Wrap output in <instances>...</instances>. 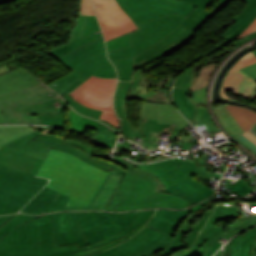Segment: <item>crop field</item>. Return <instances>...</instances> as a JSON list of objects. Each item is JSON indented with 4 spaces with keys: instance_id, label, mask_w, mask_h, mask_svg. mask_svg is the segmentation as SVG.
Wrapping results in <instances>:
<instances>
[{
    "instance_id": "1",
    "label": "crop field",
    "mask_w": 256,
    "mask_h": 256,
    "mask_svg": "<svg viewBox=\"0 0 256 256\" xmlns=\"http://www.w3.org/2000/svg\"><path fill=\"white\" fill-rule=\"evenodd\" d=\"M107 173L71 154L52 149L37 176L51 179L47 187L70 196L67 206H88Z\"/></svg>"
},
{
    "instance_id": "2",
    "label": "crop field",
    "mask_w": 256,
    "mask_h": 256,
    "mask_svg": "<svg viewBox=\"0 0 256 256\" xmlns=\"http://www.w3.org/2000/svg\"><path fill=\"white\" fill-rule=\"evenodd\" d=\"M135 212H60L52 214L55 246L78 247L106 239L129 226Z\"/></svg>"
},
{
    "instance_id": "3",
    "label": "crop field",
    "mask_w": 256,
    "mask_h": 256,
    "mask_svg": "<svg viewBox=\"0 0 256 256\" xmlns=\"http://www.w3.org/2000/svg\"><path fill=\"white\" fill-rule=\"evenodd\" d=\"M33 127L39 130L17 139L6 146L42 159H44L49 149L53 148L69 152L78 158L106 171H109V168L111 167L113 168L112 171L114 172H120L150 181L157 178L133 167L135 164L129 163L117 156L112 159L105 154L98 155L94 150L85 144L64 140L61 137L51 135L53 128L40 126Z\"/></svg>"
},
{
    "instance_id": "4",
    "label": "crop field",
    "mask_w": 256,
    "mask_h": 256,
    "mask_svg": "<svg viewBox=\"0 0 256 256\" xmlns=\"http://www.w3.org/2000/svg\"><path fill=\"white\" fill-rule=\"evenodd\" d=\"M185 17L173 14L139 24L131 32L132 46L108 52L110 61L133 57V64L170 46L174 49L189 41L195 32L180 25Z\"/></svg>"
},
{
    "instance_id": "5",
    "label": "crop field",
    "mask_w": 256,
    "mask_h": 256,
    "mask_svg": "<svg viewBox=\"0 0 256 256\" xmlns=\"http://www.w3.org/2000/svg\"><path fill=\"white\" fill-rule=\"evenodd\" d=\"M165 187L159 179L150 182L124 175L119 188L105 207L107 211H127L166 207L183 209L191 207L185 200L160 192Z\"/></svg>"
},
{
    "instance_id": "6",
    "label": "crop field",
    "mask_w": 256,
    "mask_h": 256,
    "mask_svg": "<svg viewBox=\"0 0 256 256\" xmlns=\"http://www.w3.org/2000/svg\"><path fill=\"white\" fill-rule=\"evenodd\" d=\"M0 104L7 124H38L40 119L29 114L63 112L67 107L66 102L43 84L0 95Z\"/></svg>"
},
{
    "instance_id": "7",
    "label": "crop field",
    "mask_w": 256,
    "mask_h": 256,
    "mask_svg": "<svg viewBox=\"0 0 256 256\" xmlns=\"http://www.w3.org/2000/svg\"><path fill=\"white\" fill-rule=\"evenodd\" d=\"M0 256H55L51 214L14 228L0 241Z\"/></svg>"
},
{
    "instance_id": "8",
    "label": "crop field",
    "mask_w": 256,
    "mask_h": 256,
    "mask_svg": "<svg viewBox=\"0 0 256 256\" xmlns=\"http://www.w3.org/2000/svg\"><path fill=\"white\" fill-rule=\"evenodd\" d=\"M56 60L64 65L69 71L74 68L86 75L87 77L85 76L86 78L84 80L92 74L105 78H117L115 68L106 57L102 36ZM83 81L79 79L63 93L70 92Z\"/></svg>"
},
{
    "instance_id": "9",
    "label": "crop field",
    "mask_w": 256,
    "mask_h": 256,
    "mask_svg": "<svg viewBox=\"0 0 256 256\" xmlns=\"http://www.w3.org/2000/svg\"><path fill=\"white\" fill-rule=\"evenodd\" d=\"M160 116V118H158ZM140 118H147L143 147L158 148L162 133L176 138L189 123L174 105L144 102L140 109Z\"/></svg>"
},
{
    "instance_id": "10",
    "label": "crop field",
    "mask_w": 256,
    "mask_h": 256,
    "mask_svg": "<svg viewBox=\"0 0 256 256\" xmlns=\"http://www.w3.org/2000/svg\"><path fill=\"white\" fill-rule=\"evenodd\" d=\"M116 80L98 78L92 75L68 94L88 107L103 110L100 118L119 129V121L113 111L112 104Z\"/></svg>"
},
{
    "instance_id": "11",
    "label": "crop field",
    "mask_w": 256,
    "mask_h": 256,
    "mask_svg": "<svg viewBox=\"0 0 256 256\" xmlns=\"http://www.w3.org/2000/svg\"><path fill=\"white\" fill-rule=\"evenodd\" d=\"M136 24L177 13L188 16L196 5L179 0H117Z\"/></svg>"
},
{
    "instance_id": "12",
    "label": "crop field",
    "mask_w": 256,
    "mask_h": 256,
    "mask_svg": "<svg viewBox=\"0 0 256 256\" xmlns=\"http://www.w3.org/2000/svg\"><path fill=\"white\" fill-rule=\"evenodd\" d=\"M172 238L145 226L128 241L90 256H151L167 247Z\"/></svg>"
},
{
    "instance_id": "13",
    "label": "crop field",
    "mask_w": 256,
    "mask_h": 256,
    "mask_svg": "<svg viewBox=\"0 0 256 256\" xmlns=\"http://www.w3.org/2000/svg\"><path fill=\"white\" fill-rule=\"evenodd\" d=\"M48 180L0 165V194L27 203Z\"/></svg>"
},
{
    "instance_id": "14",
    "label": "crop field",
    "mask_w": 256,
    "mask_h": 256,
    "mask_svg": "<svg viewBox=\"0 0 256 256\" xmlns=\"http://www.w3.org/2000/svg\"><path fill=\"white\" fill-rule=\"evenodd\" d=\"M93 3L105 41L137 28L115 0H93Z\"/></svg>"
},
{
    "instance_id": "15",
    "label": "crop field",
    "mask_w": 256,
    "mask_h": 256,
    "mask_svg": "<svg viewBox=\"0 0 256 256\" xmlns=\"http://www.w3.org/2000/svg\"><path fill=\"white\" fill-rule=\"evenodd\" d=\"M240 215L239 208L217 206L192 248L188 252L178 256L204 255L209 247L225 232L223 231V224L229 218H238Z\"/></svg>"
},
{
    "instance_id": "16",
    "label": "crop field",
    "mask_w": 256,
    "mask_h": 256,
    "mask_svg": "<svg viewBox=\"0 0 256 256\" xmlns=\"http://www.w3.org/2000/svg\"><path fill=\"white\" fill-rule=\"evenodd\" d=\"M155 211L156 209L149 211H137L135 219L129 227L124 229L121 233L94 245L82 247L80 249H78L76 244L64 247H55L56 256H82L107 249L136 233L146 224Z\"/></svg>"
},
{
    "instance_id": "17",
    "label": "crop field",
    "mask_w": 256,
    "mask_h": 256,
    "mask_svg": "<svg viewBox=\"0 0 256 256\" xmlns=\"http://www.w3.org/2000/svg\"><path fill=\"white\" fill-rule=\"evenodd\" d=\"M141 166L158 173L169 187L192 176L198 168L195 162L184 161L180 157Z\"/></svg>"
},
{
    "instance_id": "18",
    "label": "crop field",
    "mask_w": 256,
    "mask_h": 256,
    "mask_svg": "<svg viewBox=\"0 0 256 256\" xmlns=\"http://www.w3.org/2000/svg\"><path fill=\"white\" fill-rule=\"evenodd\" d=\"M234 90V95L243 96L247 100L253 101L256 97V82L248 77L245 73L237 70L231 74H226L222 88L220 90V95L226 97L224 91Z\"/></svg>"
},
{
    "instance_id": "19",
    "label": "crop field",
    "mask_w": 256,
    "mask_h": 256,
    "mask_svg": "<svg viewBox=\"0 0 256 256\" xmlns=\"http://www.w3.org/2000/svg\"><path fill=\"white\" fill-rule=\"evenodd\" d=\"M69 197L44 187L22 210L23 213L42 214L44 211L65 207Z\"/></svg>"
},
{
    "instance_id": "20",
    "label": "crop field",
    "mask_w": 256,
    "mask_h": 256,
    "mask_svg": "<svg viewBox=\"0 0 256 256\" xmlns=\"http://www.w3.org/2000/svg\"><path fill=\"white\" fill-rule=\"evenodd\" d=\"M191 213L193 211L190 209L180 211L158 209L147 225L165 234L174 236L177 228Z\"/></svg>"
},
{
    "instance_id": "21",
    "label": "crop field",
    "mask_w": 256,
    "mask_h": 256,
    "mask_svg": "<svg viewBox=\"0 0 256 256\" xmlns=\"http://www.w3.org/2000/svg\"><path fill=\"white\" fill-rule=\"evenodd\" d=\"M163 192L177 195L187 200L192 206L213 195L215 190L206 185L189 178ZM201 199V200H199Z\"/></svg>"
},
{
    "instance_id": "22",
    "label": "crop field",
    "mask_w": 256,
    "mask_h": 256,
    "mask_svg": "<svg viewBox=\"0 0 256 256\" xmlns=\"http://www.w3.org/2000/svg\"><path fill=\"white\" fill-rule=\"evenodd\" d=\"M206 88L197 90V91H193L191 93L192 100H194L197 103V105H198V103H206ZM173 99H174L176 106L179 108V110L190 121V119L193 117V115L195 113L196 106L190 102V100L188 98V90L181 89V88H174ZM190 122L192 124L204 122L200 115L198 108H197V112H196L194 119Z\"/></svg>"
},
{
    "instance_id": "23",
    "label": "crop field",
    "mask_w": 256,
    "mask_h": 256,
    "mask_svg": "<svg viewBox=\"0 0 256 256\" xmlns=\"http://www.w3.org/2000/svg\"><path fill=\"white\" fill-rule=\"evenodd\" d=\"M212 203L208 204L202 210L191 214L187 217L181 226L178 228L174 238L171 240L169 246L165 248L163 251L153 255V256H174L180 254L187 249L183 240L187 237V235L191 232L192 226L196 223V221L201 217V215L206 212L209 208L212 207Z\"/></svg>"
},
{
    "instance_id": "24",
    "label": "crop field",
    "mask_w": 256,
    "mask_h": 256,
    "mask_svg": "<svg viewBox=\"0 0 256 256\" xmlns=\"http://www.w3.org/2000/svg\"><path fill=\"white\" fill-rule=\"evenodd\" d=\"M134 74V81L129 90V92L134 93L136 99L156 102V103H169L172 104L170 99V89H164L160 87H155L147 92V88L150 86L151 79H145L142 75Z\"/></svg>"
},
{
    "instance_id": "25",
    "label": "crop field",
    "mask_w": 256,
    "mask_h": 256,
    "mask_svg": "<svg viewBox=\"0 0 256 256\" xmlns=\"http://www.w3.org/2000/svg\"><path fill=\"white\" fill-rule=\"evenodd\" d=\"M42 159L14 151L6 146L0 150V164L35 175Z\"/></svg>"
},
{
    "instance_id": "26",
    "label": "crop field",
    "mask_w": 256,
    "mask_h": 256,
    "mask_svg": "<svg viewBox=\"0 0 256 256\" xmlns=\"http://www.w3.org/2000/svg\"><path fill=\"white\" fill-rule=\"evenodd\" d=\"M230 0H203L184 20L185 25L193 30L215 15Z\"/></svg>"
},
{
    "instance_id": "27",
    "label": "crop field",
    "mask_w": 256,
    "mask_h": 256,
    "mask_svg": "<svg viewBox=\"0 0 256 256\" xmlns=\"http://www.w3.org/2000/svg\"><path fill=\"white\" fill-rule=\"evenodd\" d=\"M86 16L87 15H79L77 18V21L72 29V32L67 40V42L57 48H54L52 50H49V55H51L52 57H54L55 59L60 57L63 54H66L67 52L101 36L102 34H95V35H90V36H86L81 38L82 35V31H83V27H84V23L86 20Z\"/></svg>"
},
{
    "instance_id": "28",
    "label": "crop field",
    "mask_w": 256,
    "mask_h": 256,
    "mask_svg": "<svg viewBox=\"0 0 256 256\" xmlns=\"http://www.w3.org/2000/svg\"><path fill=\"white\" fill-rule=\"evenodd\" d=\"M41 84L39 80L20 67L7 74L0 75V94Z\"/></svg>"
},
{
    "instance_id": "29",
    "label": "crop field",
    "mask_w": 256,
    "mask_h": 256,
    "mask_svg": "<svg viewBox=\"0 0 256 256\" xmlns=\"http://www.w3.org/2000/svg\"><path fill=\"white\" fill-rule=\"evenodd\" d=\"M244 2L248 3L244 10L231 20L235 23L219 35L220 37L231 42L256 19V0H244Z\"/></svg>"
},
{
    "instance_id": "30",
    "label": "crop field",
    "mask_w": 256,
    "mask_h": 256,
    "mask_svg": "<svg viewBox=\"0 0 256 256\" xmlns=\"http://www.w3.org/2000/svg\"><path fill=\"white\" fill-rule=\"evenodd\" d=\"M256 212L250 213V216L245 217V215H242L239 217L233 224L229 226V228L226 230V232L221 236L223 238H230L231 236L253 226L256 224ZM218 241V240H217ZM215 242L210 249L206 252L204 256H211L221 245L219 242Z\"/></svg>"
},
{
    "instance_id": "31",
    "label": "crop field",
    "mask_w": 256,
    "mask_h": 256,
    "mask_svg": "<svg viewBox=\"0 0 256 256\" xmlns=\"http://www.w3.org/2000/svg\"><path fill=\"white\" fill-rule=\"evenodd\" d=\"M255 237L256 227L236 236L230 241L231 256H250Z\"/></svg>"
},
{
    "instance_id": "32",
    "label": "crop field",
    "mask_w": 256,
    "mask_h": 256,
    "mask_svg": "<svg viewBox=\"0 0 256 256\" xmlns=\"http://www.w3.org/2000/svg\"><path fill=\"white\" fill-rule=\"evenodd\" d=\"M114 104H115L116 112L121 119L122 133H124L126 136L130 138H132L133 136L143 138L146 119H140L138 128L133 129L131 123L129 122V119L125 118L124 109H123V99L115 98Z\"/></svg>"
},
{
    "instance_id": "33",
    "label": "crop field",
    "mask_w": 256,
    "mask_h": 256,
    "mask_svg": "<svg viewBox=\"0 0 256 256\" xmlns=\"http://www.w3.org/2000/svg\"><path fill=\"white\" fill-rule=\"evenodd\" d=\"M122 177L123 174L112 172L109 180L107 181L106 185L104 186L103 190L101 191V193L99 194V196L97 197L92 206L104 209V207L116 191Z\"/></svg>"
},
{
    "instance_id": "34",
    "label": "crop field",
    "mask_w": 256,
    "mask_h": 256,
    "mask_svg": "<svg viewBox=\"0 0 256 256\" xmlns=\"http://www.w3.org/2000/svg\"><path fill=\"white\" fill-rule=\"evenodd\" d=\"M40 216L24 215V214H11L0 216V240L9 233L13 228L24 222H28Z\"/></svg>"
},
{
    "instance_id": "35",
    "label": "crop field",
    "mask_w": 256,
    "mask_h": 256,
    "mask_svg": "<svg viewBox=\"0 0 256 256\" xmlns=\"http://www.w3.org/2000/svg\"><path fill=\"white\" fill-rule=\"evenodd\" d=\"M68 109H69L68 118L70 122L69 129L77 130L79 132L84 133L86 128L94 129V130H97L99 128L101 123L93 119L86 118L79 114L74 113V110L69 105H68Z\"/></svg>"
},
{
    "instance_id": "36",
    "label": "crop field",
    "mask_w": 256,
    "mask_h": 256,
    "mask_svg": "<svg viewBox=\"0 0 256 256\" xmlns=\"http://www.w3.org/2000/svg\"><path fill=\"white\" fill-rule=\"evenodd\" d=\"M236 118L241 127L245 130L252 128V124L256 122V112L245 107L226 105Z\"/></svg>"
},
{
    "instance_id": "37",
    "label": "crop field",
    "mask_w": 256,
    "mask_h": 256,
    "mask_svg": "<svg viewBox=\"0 0 256 256\" xmlns=\"http://www.w3.org/2000/svg\"><path fill=\"white\" fill-rule=\"evenodd\" d=\"M214 110L220 122L223 124V126L228 130V132L231 135L235 136L244 132L242 128L239 126V124L237 123V121L234 119L232 114L226 108V106L222 108H214Z\"/></svg>"
},
{
    "instance_id": "38",
    "label": "crop field",
    "mask_w": 256,
    "mask_h": 256,
    "mask_svg": "<svg viewBox=\"0 0 256 256\" xmlns=\"http://www.w3.org/2000/svg\"><path fill=\"white\" fill-rule=\"evenodd\" d=\"M36 129L30 126H0V147L19 136L25 135Z\"/></svg>"
},
{
    "instance_id": "39",
    "label": "crop field",
    "mask_w": 256,
    "mask_h": 256,
    "mask_svg": "<svg viewBox=\"0 0 256 256\" xmlns=\"http://www.w3.org/2000/svg\"><path fill=\"white\" fill-rule=\"evenodd\" d=\"M79 78L83 80L85 76L73 69L71 70L70 74L48 84V86L60 94L62 91H64L67 87H69Z\"/></svg>"
},
{
    "instance_id": "40",
    "label": "crop field",
    "mask_w": 256,
    "mask_h": 256,
    "mask_svg": "<svg viewBox=\"0 0 256 256\" xmlns=\"http://www.w3.org/2000/svg\"><path fill=\"white\" fill-rule=\"evenodd\" d=\"M62 97L70 104V106L76 110L77 112L89 116L91 118L97 119L101 113L100 110H96V109H91L88 108L82 104H80L79 102H77L75 99L71 98L68 94H64L62 95Z\"/></svg>"
},
{
    "instance_id": "41",
    "label": "crop field",
    "mask_w": 256,
    "mask_h": 256,
    "mask_svg": "<svg viewBox=\"0 0 256 256\" xmlns=\"http://www.w3.org/2000/svg\"><path fill=\"white\" fill-rule=\"evenodd\" d=\"M25 203L0 195V215L18 212Z\"/></svg>"
},
{
    "instance_id": "42",
    "label": "crop field",
    "mask_w": 256,
    "mask_h": 256,
    "mask_svg": "<svg viewBox=\"0 0 256 256\" xmlns=\"http://www.w3.org/2000/svg\"><path fill=\"white\" fill-rule=\"evenodd\" d=\"M254 128L235 136V138L256 154V123L252 125Z\"/></svg>"
},
{
    "instance_id": "43",
    "label": "crop field",
    "mask_w": 256,
    "mask_h": 256,
    "mask_svg": "<svg viewBox=\"0 0 256 256\" xmlns=\"http://www.w3.org/2000/svg\"><path fill=\"white\" fill-rule=\"evenodd\" d=\"M98 132L94 136V138L100 140L101 142L105 143L109 147L113 148L118 133L114 132L113 130L107 128L106 126L102 125L97 130Z\"/></svg>"
},
{
    "instance_id": "44",
    "label": "crop field",
    "mask_w": 256,
    "mask_h": 256,
    "mask_svg": "<svg viewBox=\"0 0 256 256\" xmlns=\"http://www.w3.org/2000/svg\"><path fill=\"white\" fill-rule=\"evenodd\" d=\"M118 73L119 80H128L131 81L132 76V58L115 61L113 62Z\"/></svg>"
},
{
    "instance_id": "45",
    "label": "crop field",
    "mask_w": 256,
    "mask_h": 256,
    "mask_svg": "<svg viewBox=\"0 0 256 256\" xmlns=\"http://www.w3.org/2000/svg\"><path fill=\"white\" fill-rule=\"evenodd\" d=\"M217 65L216 64H210L207 66L202 67L200 75L194 84L192 90L201 89L203 87H206L208 85V82L210 80V77Z\"/></svg>"
},
{
    "instance_id": "46",
    "label": "crop field",
    "mask_w": 256,
    "mask_h": 256,
    "mask_svg": "<svg viewBox=\"0 0 256 256\" xmlns=\"http://www.w3.org/2000/svg\"><path fill=\"white\" fill-rule=\"evenodd\" d=\"M37 117L41 119L40 124H47L65 128L64 113L38 114Z\"/></svg>"
},
{
    "instance_id": "47",
    "label": "crop field",
    "mask_w": 256,
    "mask_h": 256,
    "mask_svg": "<svg viewBox=\"0 0 256 256\" xmlns=\"http://www.w3.org/2000/svg\"><path fill=\"white\" fill-rule=\"evenodd\" d=\"M212 211H213V209H210L209 211H207L205 214L202 215L200 220L194 225L192 232L184 240V242L187 245L188 249L190 248V246L193 244L195 238L197 237V235H198L197 231L201 230L202 226L207 221V218L209 217V215L211 214ZM188 241H190V242H188Z\"/></svg>"
},
{
    "instance_id": "48",
    "label": "crop field",
    "mask_w": 256,
    "mask_h": 256,
    "mask_svg": "<svg viewBox=\"0 0 256 256\" xmlns=\"http://www.w3.org/2000/svg\"><path fill=\"white\" fill-rule=\"evenodd\" d=\"M131 45L129 33L106 42L107 50L119 49Z\"/></svg>"
},
{
    "instance_id": "49",
    "label": "crop field",
    "mask_w": 256,
    "mask_h": 256,
    "mask_svg": "<svg viewBox=\"0 0 256 256\" xmlns=\"http://www.w3.org/2000/svg\"><path fill=\"white\" fill-rule=\"evenodd\" d=\"M99 32H101V30L95 18V15L93 16L88 15L82 37L86 35L94 34V33H99Z\"/></svg>"
},
{
    "instance_id": "50",
    "label": "crop field",
    "mask_w": 256,
    "mask_h": 256,
    "mask_svg": "<svg viewBox=\"0 0 256 256\" xmlns=\"http://www.w3.org/2000/svg\"><path fill=\"white\" fill-rule=\"evenodd\" d=\"M228 185L226 187H228L230 190L234 191L235 193H237L240 196L246 195L252 191H254L247 183H245L241 178L239 179L238 182H236L235 184L231 185L229 183H227Z\"/></svg>"
},
{
    "instance_id": "51",
    "label": "crop field",
    "mask_w": 256,
    "mask_h": 256,
    "mask_svg": "<svg viewBox=\"0 0 256 256\" xmlns=\"http://www.w3.org/2000/svg\"><path fill=\"white\" fill-rule=\"evenodd\" d=\"M255 62H256V56L251 52H249L232 66V68L229 70V73L236 69H240L250 64H253Z\"/></svg>"
},
{
    "instance_id": "52",
    "label": "crop field",
    "mask_w": 256,
    "mask_h": 256,
    "mask_svg": "<svg viewBox=\"0 0 256 256\" xmlns=\"http://www.w3.org/2000/svg\"><path fill=\"white\" fill-rule=\"evenodd\" d=\"M191 68L185 71L183 74H181L177 78L174 86H181V87H187V88L190 87L193 80V69Z\"/></svg>"
},
{
    "instance_id": "53",
    "label": "crop field",
    "mask_w": 256,
    "mask_h": 256,
    "mask_svg": "<svg viewBox=\"0 0 256 256\" xmlns=\"http://www.w3.org/2000/svg\"><path fill=\"white\" fill-rule=\"evenodd\" d=\"M130 82H118V87L115 97L127 98L128 89L130 87Z\"/></svg>"
},
{
    "instance_id": "54",
    "label": "crop field",
    "mask_w": 256,
    "mask_h": 256,
    "mask_svg": "<svg viewBox=\"0 0 256 256\" xmlns=\"http://www.w3.org/2000/svg\"><path fill=\"white\" fill-rule=\"evenodd\" d=\"M172 50H173V49H171L170 47H168V48H166V49L160 51V52L157 53L156 55L151 56V57H149V58H147V59H145V60L139 62L138 64L134 65V66H133V70L138 69V68L144 66L145 64L151 62L152 60H154V59H156V58H158V57H160V56H162V55H164V54H166V53H168V52H170V51H172Z\"/></svg>"
},
{
    "instance_id": "55",
    "label": "crop field",
    "mask_w": 256,
    "mask_h": 256,
    "mask_svg": "<svg viewBox=\"0 0 256 256\" xmlns=\"http://www.w3.org/2000/svg\"><path fill=\"white\" fill-rule=\"evenodd\" d=\"M80 14H95L90 0H81Z\"/></svg>"
},
{
    "instance_id": "56",
    "label": "crop field",
    "mask_w": 256,
    "mask_h": 256,
    "mask_svg": "<svg viewBox=\"0 0 256 256\" xmlns=\"http://www.w3.org/2000/svg\"><path fill=\"white\" fill-rule=\"evenodd\" d=\"M255 37H256V32L251 33V34H249V35H247V36H245V37H243V38H241V39H239L237 41L232 42L231 45L236 48V47H239L242 44L246 43L247 41L252 40Z\"/></svg>"
},
{
    "instance_id": "57",
    "label": "crop field",
    "mask_w": 256,
    "mask_h": 256,
    "mask_svg": "<svg viewBox=\"0 0 256 256\" xmlns=\"http://www.w3.org/2000/svg\"><path fill=\"white\" fill-rule=\"evenodd\" d=\"M247 74L256 79V64L243 68Z\"/></svg>"
},
{
    "instance_id": "58",
    "label": "crop field",
    "mask_w": 256,
    "mask_h": 256,
    "mask_svg": "<svg viewBox=\"0 0 256 256\" xmlns=\"http://www.w3.org/2000/svg\"><path fill=\"white\" fill-rule=\"evenodd\" d=\"M254 31H256V20L250 26H248L239 37L249 34L251 32H254Z\"/></svg>"
},
{
    "instance_id": "59",
    "label": "crop field",
    "mask_w": 256,
    "mask_h": 256,
    "mask_svg": "<svg viewBox=\"0 0 256 256\" xmlns=\"http://www.w3.org/2000/svg\"><path fill=\"white\" fill-rule=\"evenodd\" d=\"M61 210H100V209L66 207V208H61V209H55L52 211H61ZM52 211H48V212H52ZM45 213H47V212H45Z\"/></svg>"
},
{
    "instance_id": "60",
    "label": "crop field",
    "mask_w": 256,
    "mask_h": 256,
    "mask_svg": "<svg viewBox=\"0 0 256 256\" xmlns=\"http://www.w3.org/2000/svg\"><path fill=\"white\" fill-rule=\"evenodd\" d=\"M209 201H210V200L207 199V200L201 202L200 204H198V205H196V206H194V207H192V208H190V209H192L194 212H196V211L202 209L205 205H207V204L209 203Z\"/></svg>"
},
{
    "instance_id": "61",
    "label": "crop field",
    "mask_w": 256,
    "mask_h": 256,
    "mask_svg": "<svg viewBox=\"0 0 256 256\" xmlns=\"http://www.w3.org/2000/svg\"><path fill=\"white\" fill-rule=\"evenodd\" d=\"M196 173H198V174H200V175H202V176H204V177H206V178H208V179L210 178L211 175H213V174L207 173V172H205V171H202V170H200V169H196ZM213 176H215V177H217V178L220 179V177H221L222 175H213Z\"/></svg>"
},
{
    "instance_id": "62",
    "label": "crop field",
    "mask_w": 256,
    "mask_h": 256,
    "mask_svg": "<svg viewBox=\"0 0 256 256\" xmlns=\"http://www.w3.org/2000/svg\"><path fill=\"white\" fill-rule=\"evenodd\" d=\"M135 167L141 168V169H143V170H145V171H147V172H149V173H151V174H153V175L159 177V179H160V180L162 181V183L165 185L166 189L169 188V187L166 185V183L162 180V178H161L158 174L153 173V172H151V171H149V170H147V169H145V168H143V167H141V166H138V165H135Z\"/></svg>"
},
{
    "instance_id": "63",
    "label": "crop field",
    "mask_w": 256,
    "mask_h": 256,
    "mask_svg": "<svg viewBox=\"0 0 256 256\" xmlns=\"http://www.w3.org/2000/svg\"><path fill=\"white\" fill-rule=\"evenodd\" d=\"M111 170H112V169H110L109 174H108L106 180L104 181V183L102 184V186H101L100 189L98 190L97 194L95 195V197L93 198V200L91 201V203L89 204V206H91V205L93 204L94 200L96 199V197H97L98 194L100 193L101 189H102L103 186L105 185V183H106V181H107V179H108V177H109V175H110V173H111Z\"/></svg>"
},
{
    "instance_id": "64",
    "label": "crop field",
    "mask_w": 256,
    "mask_h": 256,
    "mask_svg": "<svg viewBox=\"0 0 256 256\" xmlns=\"http://www.w3.org/2000/svg\"><path fill=\"white\" fill-rule=\"evenodd\" d=\"M223 256H230V243H227V244L224 246V253H223Z\"/></svg>"
},
{
    "instance_id": "65",
    "label": "crop field",
    "mask_w": 256,
    "mask_h": 256,
    "mask_svg": "<svg viewBox=\"0 0 256 256\" xmlns=\"http://www.w3.org/2000/svg\"><path fill=\"white\" fill-rule=\"evenodd\" d=\"M174 78H172L170 76L169 80L167 81V83L164 85V88H170L171 89V85H172V82H173Z\"/></svg>"
},
{
    "instance_id": "66",
    "label": "crop field",
    "mask_w": 256,
    "mask_h": 256,
    "mask_svg": "<svg viewBox=\"0 0 256 256\" xmlns=\"http://www.w3.org/2000/svg\"><path fill=\"white\" fill-rule=\"evenodd\" d=\"M0 124H6L5 119H4V115H3L2 110H1V106H0Z\"/></svg>"
},
{
    "instance_id": "67",
    "label": "crop field",
    "mask_w": 256,
    "mask_h": 256,
    "mask_svg": "<svg viewBox=\"0 0 256 256\" xmlns=\"http://www.w3.org/2000/svg\"><path fill=\"white\" fill-rule=\"evenodd\" d=\"M182 1H188L190 3L198 5L202 0H182Z\"/></svg>"
},
{
    "instance_id": "68",
    "label": "crop field",
    "mask_w": 256,
    "mask_h": 256,
    "mask_svg": "<svg viewBox=\"0 0 256 256\" xmlns=\"http://www.w3.org/2000/svg\"><path fill=\"white\" fill-rule=\"evenodd\" d=\"M252 256H256V240H255L254 245H253Z\"/></svg>"
},
{
    "instance_id": "69",
    "label": "crop field",
    "mask_w": 256,
    "mask_h": 256,
    "mask_svg": "<svg viewBox=\"0 0 256 256\" xmlns=\"http://www.w3.org/2000/svg\"><path fill=\"white\" fill-rule=\"evenodd\" d=\"M189 146H190V143L184 142L183 149L188 150Z\"/></svg>"
},
{
    "instance_id": "70",
    "label": "crop field",
    "mask_w": 256,
    "mask_h": 256,
    "mask_svg": "<svg viewBox=\"0 0 256 256\" xmlns=\"http://www.w3.org/2000/svg\"><path fill=\"white\" fill-rule=\"evenodd\" d=\"M124 109H125V113H126V117H127V104H126V99H124ZM128 118V117H127Z\"/></svg>"
},
{
    "instance_id": "71",
    "label": "crop field",
    "mask_w": 256,
    "mask_h": 256,
    "mask_svg": "<svg viewBox=\"0 0 256 256\" xmlns=\"http://www.w3.org/2000/svg\"><path fill=\"white\" fill-rule=\"evenodd\" d=\"M11 1H14V0H0V3L11 2Z\"/></svg>"
},
{
    "instance_id": "72",
    "label": "crop field",
    "mask_w": 256,
    "mask_h": 256,
    "mask_svg": "<svg viewBox=\"0 0 256 256\" xmlns=\"http://www.w3.org/2000/svg\"><path fill=\"white\" fill-rule=\"evenodd\" d=\"M99 120H100V119H99ZM100 121H102V122H104V123L108 124L107 122H105V121H103V120H100ZM108 125H109V126H111L113 129H115V130L119 131L118 129L114 128L112 125H110V124H108Z\"/></svg>"
},
{
    "instance_id": "73",
    "label": "crop field",
    "mask_w": 256,
    "mask_h": 256,
    "mask_svg": "<svg viewBox=\"0 0 256 256\" xmlns=\"http://www.w3.org/2000/svg\"><path fill=\"white\" fill-rule=\"evenodd\" d=\"M226 206H233V207H237L235 203L227 204Z\"/></svg>"
},
{
    "instance_id": "74",
    "label": "crop field",
    "mask_w": 256,
    "mask_h": 256,
    "mask_svg": "<svg viewBox=\"0 0 256 256\" xmlns=\"http://www.w3.org/2000/svg\"><path fill=\"white\" fill-rule=\"evenodd\" d=\"M221 254H222V250H220L216 255H214V256H221Z\"/></svg>"
},
{
    "instance_id": "75",
    "label": "crop field",
    "mask_w": 256,
    "mask_h": 256,
    "mask_svg": "<svg viewBox=\"0 0 256 256\" xmlns=\"http://www.w3.org/2000/svg\"><path fill=\"white\" fill-rule=\"evenodd\" d=\"M252 53H254L256 55V51H252Z\"/></svg>"
},
{
    "instance_id": "76",
    "label": "crop field",
    "mask_w": 256,
    "mask_h": 256,
    "mask_svg": "<svg viewBox=\"0 0 256 256\" xmlns=\"http://www.w3.org/2000/svg\"><path fill=\"white\" fill-rule=\"evenodd\" d=\"M255 206H256V204H255Z\"/></svg>"
},
{
    "instance_id": "77",
    "label": "crop field",
    "mask_w": 256,
    "mask_h": 256,
    "mask_svg": "<svg viewBox=\"0 0 256 256\" xmlns=\"http://www.w3.org/2000/svg\"><path fill=\"white\" fill-rule=\"evenodd\" d=\"M20 138V137H19ZM5 145V144H4Z\"/></svg>"
},
{
    "instance_id": "78",
    "label": "crop field",
    "mask_w": 256,
    "mask_h": 256,
    "mask_svg": "<svg viewBox=\"0 0 256 256\" xmlns=\"http://www.w3.org/2000/svg\"><path fill=\"white\" fill-rule=\"evenodd\" d=\"M1 149V148H0Z\"/></svg>"
}]
</instances>
